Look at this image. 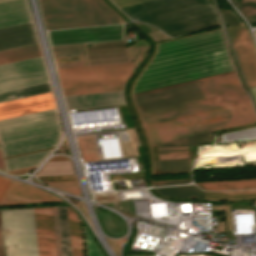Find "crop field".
<instances>
[{
	"label": "crop field",
	"mask_w": 256,
	"mask_h": 256,
	"mask_svg": "<svg viewBox=\"0 0 256 256\" xmlns=\"http://www.w3.org/2000/svg\"><path fill=\"white\" fill-rule=\"evenodd\" d=\"M231 70L220 30L164 42L134 93ZM134 99L144 125L249 100L235 73ZM255 120L248 101L144 126L150 144L157 143L155 173L189 171L187 145L212 141V130Z\"/></svg>",
	"instance_id": "obj_1"
},
{
	"label": "crop field",
	"mask_w": 256,
	"mask_h": 256,
	"mask_svg": "<svg viewBox=\"0 0 256 256\" xmlns=\"http://www.w3.org/2000/svg\"><path fill=\"white\" fill-rule=\"evenodd\" d=\"M121 10L164 33L217 18L208 0H151Z\"/></svg>",
	"instance_id": "obj_2"
},
{
	"label": "crop field",
	"mask_w": 256,
	"mask_h": 256,
	"mask_svg": "<svg viewBox=\"0 0 256 256\" xmlns=\"http://www.w3.org/2000/svg\"><path fill=\"white\" fill-rule=\"evenodd\" d=\"M47 30L123 23L103 0H39Z\"/></svg>",
	"instance_id": "obj_3"
},
{
	"label": "crop field",
	"mask_w": 256,
	"mask_h": 256,
	"mask_svg": "<svg viewBox=\"0 0 256 256\" xmlns=\"http://www.w3.org/2000/svg\"><path fill=\"white\" fill-rule=\"evenodd\" d=\"M134 63L57 69L62 90L125 85Z\"/></svg>",
	"instance_id": "obj_4"
},
{
	"label": "crop field",
	"mask_w": 256,
	"mask_h": 256,
	"mask_svg": "<svg viewBox=\"0 0 256 256\" xmlns=\"http://www.w3.org/2000/svg\"><path fill=\"white\" fill-rule=\"evenodd\" d=\"M60 131L56 109L0 121V143Z\"/></svg>",
	"instance_id": "obj_5"
},
{
	"label": "crop field",
	"mask_w": 256,
	"mask_h": 256,
	"mask_svg": "<svg viewBox=\"0 0 256 256\" xmlns=\"http://www.w3.org/2000/svg\"><path fill=\"white\" fill-rule=\"evenodd\" d=\"M46 82L41 57L0 66V92Z\"/></svg>",
	"instance_id": "obj_6"
},
{
	"label": "crop field",
	"mask_w": 256,
	"mask_h": 256,
	"mask_svg": "<svg viewBox=\"0 0 256 256\" xmlns=\"http://www.w3.org/2000/svg\"><path fill=\"white\" fill-rule=\"evenodd\" d=\"M221 14L230 34L231 42L242 65L248 86H256V51L251 36L246 27L237 29L228 28V26H244V24L239 22L233 12L226 10L221 12Z\"/></svg>",
	"instance_id": "obj_7"
},
{
	"label": "crop field",
	"mask_w": 256,
	"mask_h": 256,
	"mask_svg": "<svg viewBox=\"0 0 256 256\" xmlns=\"http://www.w3.org/2000/svg\"><path fill=\"white\" fill-rule=\"evenodd\" d=\"M124 25L47 32L51 47L124 40Z\"/></svg>",
	"instance_id": "obj_8"
},
{
	"label": "crop field",
	"mask_w": 256,
	"mask_h": 256,
	"mask_svg": "<svg viewBox=\"0 0 256 256\" xmlns=\"http://www.w3.org/2000/svg\"><path fill=\"white\" fill-rule=\"evenodd\" d=\"M137 49H138V47H128V52H129L131 58ZM140 49H141V47H139V49L137 50V52L135 53L133 58L136 56V54L138 53V51ZM147 49H148V46H143L133 61H141V59L144 57ZM85 51H86V54H92V53L127 51V48H126L125 43H120V44L98 45V46L88 47V48H85ZM128 52L85 56V63H86V65H95V64H106V63L132 61Z\"/></svg>",
	"instance_id": "obj_9"
},
{
	"label": "crop field",
	"mask_w": 256,
	"mask_h": 256,
	"mask_svg": "<svg viewBox=\"0 0 256 256\" xmlns=\"http://www.w3.org/2000/svg\"><path fill=\"white\" fill-rule=\"evenodd\" d=\"M52 93L0 103V120L53 109Z\"/></svg>",
	"instance_id": "obj_10"
},
{
	"label": "crop field",
	"mask_w": 256,
	"mask_h": 256,
	"mask_svg": "<svg viewBox=\"0 0 256 256\" xmlns=\"http://www.w3.org/2000/svg\"><path fill=\"white\" fill-rule=\"evenodd\" d=\"M39 256H56L51 208L34 209Z\"/></svg>",
	"instance_id": "obj_11"
},
{
	"label": "crop field",
	"mask_w": 256,
	"mask_h": 256,
	"mask_svg": "<svg viewBox=\"0 0 256 256\" xmlns=\"http://www.w3.org/2000/svg\"><path fill=\"white\" fill-rule=\"evenodd\" d=\"M41 201H60L47 192L14 180L0 204H21Z\"/></svg>",
	"instance_id": "obj_12"
},
{
	"label": "crop field",
	"mask_w": 256,
	"mask_h": 256,
	"mask_svg": "<svg viewBox=\"0 0 256 256\" xmlns=\"http://www.w3.org/2000/svg\"><path fill=\"white\" fill-rule=\"evenodd\" d=\"M66 108H84L125 104L123 91L64 97Z\"/></svg>",
	"instance_id": "obj_13"
},
{
	"label": "crop field",
	"mask_w": 256,
	"mask_h": 256,
	"mask_svg": "<svg viewBox=\"0 0 256 256\" xmlns=\"http://www.w3.org/2000/svg\"><path fill=\"white\" fill-rule=\"evenodd\" d=\"M35 42L32 22L0 29V50Z\"/></svg>",
	"instance_id": "obj_14"
},
{
	"label": "crop field",
	"mask_w": 256,
	"mask_h": 256,
	"mask_svg": "<svg viewBox=\"0 0 256 256\" xmlns=\"http://www.w3.org/2000/svg\"><path fill=\"white\" fill-rule=\"evenodd\" d=\"M59 133L60 132L2 143L1 144L2 154L3 156H5V155L14 154V153H19V152H24V151H29L33 149L55 145L58 141Z\"/></svg>",
	"instance_id": "obj_15"
},
{
	"label": "crop field",
	"mask_w": 256,
	"mask_h": 256,
	"mask_svg": "<svg viewBox=\"0 0 256 256\" xmlns=\"http://www.w3.org/2000/svg\"><path fill=\"white\" fill-rule=\"evenodd\" d=\"M30 21L26 0L0 3V28Z\"/></svg>",
	"instance_id": "obj_16"
},
{
	"label": "crop field",
	"mask_w": 256,
	"mask_h": 256,
	"mask_svg": "<svg viewBox=\"0 0 256 256\" xmlns=\"http://www.w3.org/2000/svg\"><path fill=\"white\" fill-rule=\"evenodd\" d=\"M39 56L41 55L38 44H30L0 51V64L25 60Z\"/></svg>",
	"instance_id": "obj_17"
},
{
	"label": "crop field",
	"mask_w": 256,
	"mask_h": 256,
	"mask_svg": "<svg viewBox=\"0 0 256 256\" xmlns=\"http://www.w3.org/2000/svg\"><path fill=\"white\" fill-rule=\"evenodd\" d=\"M70 238L73 256H84L80 220L75 213L67 208Z\"/></svg>",
	"instance_id": "obj_18"
},
{
	"label": "crop field",
	"mask_w": 256,
	"mask_h": 256,
	"mask_svg": "<svg viewBox=\"0 0 256 256\" xmlns=\"http://www.w3.org/2000/svg\"><path fill=\"white\" fill-rule=\"evenodd\" d=\"M196 184L204 190L254 189V188H256V180L204 182V183H196Z\"/></svg>",
	"instance_id": "obj_19"
},
{
	"label": "crop field",
	"mask_w": 256,
	"mask_h": 256,
	"mask_svg": "<svg viewBox=\"0 0 256 256\" xmlns=\"http://www.w3.org/2000/svg\"><path fill=\"white\" fill-rule=\"evenodd\" d=\"M57 68L84 66L82 45L51 48ZM82 56L83 62L57 64L56 58Z\"/></svg>",
	"instance_id": "obj_20"
},
{
	"label": "crop field",
	"mask_w": 256,
	"mask_h": 256,
	"mask_svg": "<svg viewBox=\"0 0 256 256\" xmlns=\"http://www.w3.org/2000/svg\"><path fill=\"white\" fill-rule=\"evenodd\" d=\"M50 87L49 84H41L37 86H32V87H27L23 89H18V90H13L9 92H4L0 93V102L2 101H7V100H13V99H18V98H23V97H28L36 94H41L45 92H49ZM10 96H13L12 98Z\"/></svg>",
	"instance_id": "obj_21"
},
{
	"label": "crop field",
	"mask_w": 256,
	"mask_h": 256,
	"mask_svg": "<svg viewBox=\"0 0 256 256\" xmlns=\"http://www.w3.org/2000/svg\"><path fill=\"white\" fill-rule=\"evenodd\" d=\"M158 193L170 197L204 198V192L195 186H182L155 189Z\"/></svg>",
	"instance_id": "obj_22"
},
{
	"label": "crop field",
	"mask_w": 256,
	"mask_h": 256,
	"mask_svg": "<svg viewBox=\"0 0 256 256\" xmlns=\"http://www.w3.org/2000/svg\"><path fill=\"white\" fill-rule=\"evenodd\" d=\"M49 151L4 160L6 171L38 164Z\"/></svg>",
	"instance_id": "obj_23"
},
{
	"label": "crop field",
	"mask_w": 256,
	"mask_h": 256,
	"mask_svg": "<svg viewBox=\"0 0 256 256\" xmlns=\"http://www.w3.org/2000/svg\"><path fill=\"white\" fill-rule=\"evenodd\" d=\"M63 256H72L66 208L57 207Z\"/></svg>",
	"instance_id": "obj_24"
},
{
	"label": "crop field",
	"mask_w": 256,
	"mask_h": 256,
	"mask_svg": "<svg viewBox=\"0 0 256 256\" xmlns=\"http://www.w3.org/2000/svg\"><path fill=\"white\" fill-rule=\"evenodd\" d=\"M76 141L83 162L99 160L93 138Z\"/></svg>",
	"instance_id": "obj_25"
},
{
	"label": "crop field",
	"mask_w": 256,
	"mask_h": 256,
	"mask_svg": "<svg viewBox=\"0 0 256 256\" xmlns=\"http://www.w3.org/2000/svg\"><path fill=\"white\" fill-rule=\"evenodd\" d=\"M73 174L69 161L49 162L37 176Z\"/></svg>",
	"instance_id": "obj_26"
},
{
	"label": "crop field",
	"mask_w": 256,
	"mask_h": 256,
	"mask_svg": "<svg viewBox=\"0 0 256 256\" xmlns=\"http://www.w3.org/2000/svg\"><path fill=\"white\" fill-rule=\"evenodd\" d=\"M256 196V190L250 191H224V192H205V198L213 199H237Z\"/></svg>",
	"instance_id": "obj_27"
},
{
	"label": "crop field",
	"mask_w": 256,
	"mask_h": 256,
	"mask_svg": "<svg viewBox=\"0 0 256 256\" xmlns=\"http://www.w3.org/2000/svg\"><path fill=\"white\" fill-rule=\"evenodd\" d=\"M123 89H124V86L106 87V88H93V89H80V90L62 91V94H63V96H68V95H78V94L118 91V90H123Z\"/></svg>",
	"instance_id": "obj_28"
},
{
	"label": "crop field",
	"mask_w": 256,
	"mask_h": 256,
	"mask_svg": "<svg viewBox=\"0 0 256 256\" xmlns=\"http://www.w3.org/2000/svg\"><path fill=\"white\" fill-rule=\"evenodd\" d=\"M217 24H219V22L216 19V20H212V21H209V22H205V23L198 24V25H195V26L187 27V28L180 29V30H177V31H173V32H170V33H166V34L174 37V36H178V35L185 34V33H188V32L196 31V30L203 29V28L210 27V26L217 25Z\"/></svg>",
	"instance_id": "obj_29"
},
{
	"label": "crop field",
	"mask_w": 256,
	"mask_h": 256,
	"mask_svg": "<svg viewBox=\"0 0 256 256\" xmlns=\"http://www.w3.org/2000/svg\"><path fill=\"white\" fill-rule=\"evenodd\" d=\"M85 240H86V250H87V256H102L99 249L95 245L94 241L90 237L89 233L85 229Z\"/></svg>",
	"instance_id": "obj_30"
},
{
	"label": "crop field",
	"mask_w": 256,
	"mask_h": 256,
	"mask_svg": "<svg viewBox=\"0 0 256 256\" xmlns=\"http://www.w3.org/2000/svg\"><path fill=\"white\" fill-rule=\"evenodd\" d=\"M52 212H53L56 252H57V256H62V254H61V246H60V237H59V228H58V220H57L56 207L52 208Z\"/></svg>",
	"instance_id": "obj_31"
},
{
	"label": "crop field",
	"mask_w": 256,
	"mask_h": 256,
	"mask_svg": "<svg viewBox=\"0 0 256 256\" xmlns=\"http://www.w3.org/2000/svg\"><path fill=\"white\" fill-rule=\"evenodd\" d=\"M45 183L80 194L77 182H45Z\"/></svg>",
	"instance_id": "obj_32"
},
{
	"label": "crop field",
	"mask_w": 256,
	"mask_h": 256,
	"mask_svg": "<svg viewBox=\"0 0 256 256\" xmlns=\"http://www.w3.org/2000/svg\"><path fill=\"white\" fill-rule=\"evenodd\" d=\"M12 182H13V179L0 176V199L2 198L4 193L7 191V189L9 188Z\"/></svg>",
	"instance_id": "obj_33"
},
{
	"label": "crop field",
	"mask_w": 256,
	"mask_h": 256,
	"mask_svg": "<svg viewBox=\"0 0 256 256\" xmlns=\"http://www.w3.org/2000/svg\"><path fill=\"white\" fill-rule=\"evenodd\" d=\"M119 8L136 4L147 0H112Z\"/></svg>",
	"instance_id": "obj_34"
},
{
	"label": "crop field",
	"mask_w": 256,
	"mask_h": 256,
	"mask_svg": "<svg viewBox=\"0 0 256 256\" xmlns=\"http://www.w3.org/2000/svg\"><path fill=\"white\" fill-rule=\"evenodd\" d=\"M250 90H251V94L253 96L254 102L256 104V87H252L250 88Z\"/></svg>",
	"instance_id": "obj_35"
},
{
	"label": "crop field",
	"mask_w": 256,
	"mask_h": 256,
	"mask_svg": "<svg viewBox=\"0 0 256 256\" xmlns=\"http://www.w3.org/2000/svg\"><path fill=\"white\" fill-rule=\"evenodd\" d=\"M0 170L5 171L4 164H3V159H2V154H1V149H0Z\"/></svg>",
	"instance_id": "obj_36"
},
{
	"label": "crop field",
	"mask_w": 256,
	"mask_h": 256,
	"mask_svg": "<svg viewBox=\"0 0 256 256\" xmlns=\"http://www.w3.org/2000/svg\"><path fill=\"white\" fill-rule=\"evenodd\" d=\"M9 1V0H0V2Z\"/></svg>",
	"instance_id": "obj_37"
}]
</instances>
